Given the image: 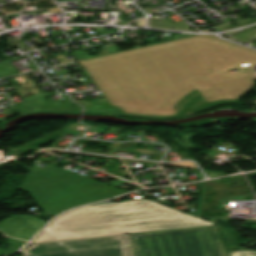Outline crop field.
<instances>
[{
	"label": "crop field",
	"instance_id": "obj_2",
	"mask_svg": "<svg viewBox=\"0 0 256 256\" xmlns=\"http://www.w3.org/2000/svg\"><path fill=\"white\" fill-rule=\"evenodd\" d=\"M212 224L150 200L98 204L56 218L33 242Z\"/></svg>",
	"mask_w": 256,
	"mask_h": 256
},
{
	"label": "crop field",
	"instance_id": "obj_6",
	"mask_svg": "<svg viewBox=\"0 0 256 256\" xmlns=\"http://www.w3.org/2000/svg\"><path fill=\"white\" fill-rule=\"evenodd\" d=\"M46 222L28 216L11 215L0 222V231L5 235L28 241Z\"/></svg>",
	"mask_w": 256,
	"mask_h": 256
},
{
	"label": "crop field",
	"instance_id": "obj_4",
	"mask_svg": "<svg viewBox=\"0 0 256 256\" xmlns=\"http://www.w3.org/2000/svg\"><path fill=\"white\" fill-rule=\"evenodd\" d=\"M133 256H227L217 227L129 235Z\"/></svg>",
	"mask_w": 256,
	"mask_h": 256
},
{
	"label": "crop field",
	"instance_id": "obj_1",
	"mask_svg": "<svg viewBox=\"0 0 256 256\" xmlns=\"http://www.w3.org/2000/svg\"><path fill=\"white\" fill-rule=\"evenodd\" d=\"M119 116L174 119L219 103L236 104L254 86L256 51L194 36L80 60Z\"/></svg>",
	"mask_w": 256,
	"mask_h": 256
},
{
	"label": "crop field",
	"instance_id": "obj_3",
	"mask_svg": "<svg viewBox=\"0 0 256 256\" xmlns=\"http://www.w3.org/2000/svg\"><path fill=\"white\" fill-rule=\"evenodd\" d=\"M20 189L31 194L52 216L84 203L125 193L57 167L44 173L31 168Z\"/></svg>",
	"mask_w": 256,
	"mask_h": 256
},
{
	"label": "crop field",
	"instance_id": "obj_8",
	"mask_svg": "<svg viewBox=\"0 0 256 256\" xmlns=\"http://www.w3.org/2000/svg\"><path fill=\"white\" fill-rule=\"evenodd\" d=\"M230 256H256V252L242 248L234 253H231Z\"/></svg>",
	"mask_w": 256,
	"mask_h": 256
},
{
	"label": "crop field",
	"instance_id": "obj_5",
	"mask_svg": "<svg viewBox=\"0 0 256 256\" xmlns=\"http://www.w3.org/2000/svg\"><path fill=\"white\" fill-rule=\"evenodd\" d=\"M22 256H130L125 236L29 245Z\"/></svg>",
	"mask_w": 256,
	"mask_h": 256
},
{
	"label": "crop field",
	"instance_id": "obj_7",
	"mask_svg": "<svg viewBox=\"0 0 256 256\" xmlns=\"http://www.w3.org/2000/svg\"><path fill=\"white\" fill-rule=\"evenodd\" d=\"M23 244H25V242H22V241H18V240H15L13 239L9 245H10V248L8 250H2L0 249V256H3V255H8L16 250H18Z\"/></svg>",
	"mask_w": 256,
	"mask_h": 256
}]
</instances>
